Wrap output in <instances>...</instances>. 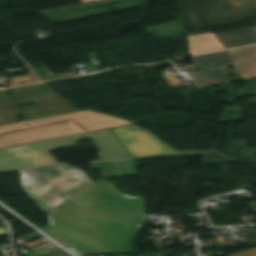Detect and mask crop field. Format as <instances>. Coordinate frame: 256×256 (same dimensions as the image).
I'll use <instances>...</instances> for the list:
<instances>
[{
    "label": "crop field",
    "instance_id": "crop-field-1",
    "mask_svg": "<svg viewBox=\"0 0 256 256\" xmlns=\"http://www.w3.org/2000/svg\"><path fill=\"white\" fill-rule=\"evenodd\" d=\"M46 214L51 226L41 229L79 256L134 253L131 243L147 223L143 198H129L105 180Z\"/></svg>",
    "mask_w": 256,
    "mask_h": 256
},
{
    "label": "crop field",
    "instance_id": "crop-field-2",
    "mask_svg": "<svg viewBox=\"0 0 256 256\" xmlns=\"http://www.w3.org/2000/svg\"><path fill=\"white\" fill-rule=\"evenodd\" d=\"M88 137L100 151L102 160L131 158L111 129H108L0 149V171L56 164L58 161L49 151L74 147L78 141Z\"/></svg>",
    "mask_w": 256,
    "mask_h": 256
},
{
    "label": "crop field",
    "instance_id": "crop-field-3",
    "mask_svg": "<svg viewBox=\"0 0 256 256\" xmlns=\"http://www.w3.org/2000/svg\"><path fill=\"white\" fill-rule=\"evenodd\" d=\"M70 119H74L73 121H76L78 124H80L88 131L108 127L114 128L132 124V122L130 121L120 119L114 116L106 115L91 110H85L61 116L14 123L10 125H3L0 126V134L61 122ZM73 121L24 130L0 136V148L88 132L82 129Z\"/></svg>",
    "mask_w": 256,
    "mask_h": 256
},
{
    "label": "crop field",
    "instance_id": "crop-field-4",
    "mask_svg": "<svg viewBox=\"0 0 256 256\" xmlns=\"http://www.w3.org/2000/svg\"><path fill=\"white\" fill-rule=\"evenodd\" d=\"M20 172L22 186L45 213L92 183L84 173L68 165Z\"/></svg>",
    "mask_w": 256,
    "mask_h": 256
},
{
    "label": "crop field",
    "instance_id": "crop-field-5",
    "mask_svg": "<svg viewBox=\"0 0 256 256\" xmlns=\"http://www.w3.org/2000/svg\"><path fill=\"white\" fill-rule=\"evenodd\" d=\"M113 131L116 133V135L132 157L190 153L177 152L169 148L167 145L163 144L160 140H158L155 136L151 135L147 131L138 128L135 125L115 128L113 129Z\"/></svg>",
    "mask_w": 256,
    "mask_h": 256
},
{
    "label": "crop field",
    "instance_id": "crop-field-6",
    "mask_svg": "<svg viewBox=\"0 0 256 256\" xmlns=\"http://www.w3.org/2000/svg\"><path fill=\"white\" fill-rule=\"evenodd\" d=\"M242 79L256 76V54L232 59ZM252 66L251 68H249Z\"/></svg>",
    "mask_w": 256,
    "mask_h": 256
},
{
    "label": "crop field",
    "instance_id": "crop-field-7",
    "mask_svg": "<svg viewBox=\"0 0 256 256\" xmlns=\"http://www.w3.org/2000/svg\"><path fill=\"white\" fill-rule=\"evenodd\" d=\"M17 107L16 103L0 106V125L16 122L17 115L23 117Z\"/></svg>",
    "mask_w": 256,
    "mask_h": 256
},
{
    "label": "crop field",
    "instance_id": "crop-field-8",
    "mask_svg": "<svg viewBox=\"0 0 256 256\" xmlns=\"http://www.w3.org/2000/svg\"><path fill=\"white\" fill-rule=\"evenodd\" d=\"M27 69H28L30 75L12 78L10 87L22 85V84L33 83V82H38L34 73L28 67H27Z\"/></svg>",
    "mask_w": 256,
    "mask_h": 256
},
{
    "label": "crop field",
    "instance_id": "crop-field-9",
    "mask_svg": "<svg viewBox=\"0 0 256 256\" xmlns=\"http://www.w3.org/2000/svg\"><path fill=\"white\" fill-rule=\"evenodd\" d=\"M227 52L230 55V57L236 56V55L254 53V52H256V46L240 48V49H235V50H229Z\"/></svg>",
    "mask_w": 256,
    "mask_h": 256
},
{
    "label": "crop field",
    "instance_id": "crop-field-10",
    "mask_svg": "<svg viewBox=\"0 0 256 256\" xmlns=\"http://www.w3.org/2000/svg\"><path fill=\"white\" fill-rule=\"evenodd\" d=\"M227 256H256V249L248 250V251H243Z\"/></svg>",
    "mask_w": 256,
    "mask_h": 256
},
{
    "label": "crop field",
    "instance_id": "crop-field-11",
    "mask_svg": "<svg viewBox=\"0 0 256 256\" xmlns=\"http://www.w3.org/2000/svg\"><path fill=\"white\" fill-rule=\"evenodd\" d=\"M14 101L12 100V98L10 96H3L0 93V105L3 104H8V103H13Z\"/></svg>",
    "mask_w": 256,
    "mask_h": 256
},
{
    "label": "crop field",
    "instance_id": "crop-field-12",
    "mask_svg": "<svg viewBox=\"0 0 256 256\" xmlns=\"http://www.w3.org/2000/svg\"><path fill=\"white\" fill-rule=\"evenodd\" d=\"M8 235V228H0V236Z\"/></svg>",
    "mask_w": 256,
    "mask_h": 256
},
{
    "label": "crop field",
    "instance_id": "crop-field-13",
    "mask_svg": "<svg viewBox=\"0 0 256 256\" xmlns=\"http://www.w3.org/2000/svg\"><path fill=\"white\" fill-rule=\"evenodd\" d=\"M84 3H87V2H92V1H97V0H82Z\"/></svg>",
    "mask_w": 256,
    "mask_h": 256
}]
</instances>
